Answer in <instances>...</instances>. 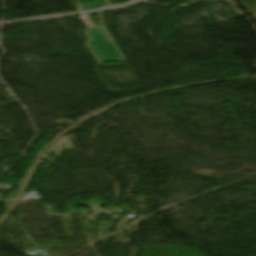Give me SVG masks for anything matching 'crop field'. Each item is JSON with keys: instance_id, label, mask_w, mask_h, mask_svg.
I'll use <instances>...</instances> for the list:
<instances>
[{"instance_id": "crop-field-3", "label": "crop field", "mask_w": 256, "mask_h": 256, "mask_svg": "<svg viewBox=\"0 0 256 256\" xmlns=\"http://www.w3.org/2000/svg\"><path fill=\"white\" fill-rule=\"evenodd\" d=\"M253 16L256 18V14H253ZM256 67V66H255Z\"/></svg>"}, {"instance_id": "crop-field-1", "label": "crop field", "mask_w": 256, "mask_h": 256, "mask_svg": "<svg viewBox=\"0 0 256 256\" xmlns=\"http://www.w3.org/2000/svg\"><path fill=\"white\" fill-rule=\"evenodd\" d=\"M88 47L98 62L122 59L103 27L90 28Z\"/></svg>"}, {"instance_id": "crop-field-2", "label": "crop field", "mask_w": 256, "mask_h": 256, "mask_svg": "<svg viewBox=\"0 0 256 256\" xmlns=\"http://www.w3.org/2000/svg\"><path fill=\"white\" fill-rule=\"evenodd\" d=\"M106 0H94L93 3L89 4H82L80 5L81 12L86 10H93V9H99L102 7H106Z\"/></svg>"}]
</instances>
